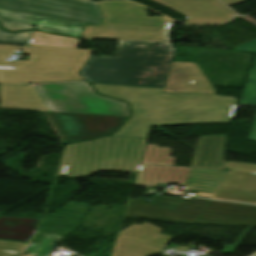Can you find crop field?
Returning <instances> with one entry per match:
<instances>
[{
  "label": "crop field",
  "instance_id": "34b2d1b8",
  "mask_svg": "<svg viewBox=\"0 0 256 256\" xmlns=\"http://www.w3.org/2000/svg\"><path fill=\"white\" fill-rule=\"evenodd\" d=\"M21 50L19 46L0 45V83L27 85L29 82H53L83 79L77 74L91 50L24 45L29 61H6Z\"/></svg>",
  "mask_w": 256,
  "mask_h": 256
},
{
  "label": "crop field",
  "instance_id": "8a807250",
  "mask_svg": "<svg viewBox=\"0 0 256 256\" xmlns=\"http://www.w3.org/2000/svg\"><path fill=\"white\" fill-rule=\"evenodd\" d=\"M104 20L87 26L84 38L118 40L115 58L90 57L80 74L91 83L163 88L175 50L170 21L147 17L131 2H100Z\"/></svg>",
  "mask_w": 256,
  "mask_h": 256
},
{
  "label": "crop field",
  "instance_id": "d1516ede",
  "mask_svg": "<svg viewBox=\"0 0 256 256\" xmlns=\"http://www.w3.org/2000/svg\"><path fill=\"white\" fill-rule=\"evenodd\" d=\"M213 199L256 204V174L229 171Z\"/></svg>",
  "mask_w": 256,
  "mask_h": 256
},
{
  "label": "crop field",
  "instance_id": "214f88e0",
  "mask_svg": "<svg viewBox=\"0 0 256 256\" xmlns=\"http://www.w3.org/2000/svg\"><path fill=\"white\" fill-rule=\"evenodd\" d=\"M159 248L117 238L112 256H150L163 249Z\"/></svg>",
  "mask_w": 256,
  "mask_h": 256
},
{
  "label": "crop field",
  "instance_id": "d8731c3e",
  "mask_svg": "<svg viewBox=\"0 0 256 256\" xmlns=\"http://www.w3.org/2000/svg\"><path fill=\"white\" fill-rule=\"evenodd\" d=\"M63 143L89 140L114 132L126 117L47 112Z\"/></svg>",
  "mask_w": 256,
  "mask_h": 256
},
{
  "label": "crop field",
  "instance_id": "eef30255",
  "mask_svg": "<svg viewBox=\"0 0 256 256\" xmlns=\"http://www.w3.org/2000/svg\"><path fill=\"white\" fill-rule=\"evenodd\" d=\"M222 1H224L228 5H231V4H237V3L244 2L245 0H222Z\"/></svg>",
  "mask_w": 256,
  "mask_h": 256
},
{
  "label": "crop field",
  "instance_id": "4a817a6b",
  "mask_svg": "<svg viewBox=\"0 0 256 256\" xmlns=\"http://www.w3.org/2000/svg\"><path fill=\"white\" fill-rule=\"evenodd\" d=\"M160 231H162L160 228L145 222L139 226L137 224L131 225L122 231L119 236L157 246H164L172 237L158 234Z\"/></svg>",
  "mask_w": 256,
  "mask_h": 256
},
{
  "label": "crop field",
  "instance_id": "733c2abd",
  "mask_svg": "<svg viewBox=\"0 0 256 256\" xmlns=\"http://www.w3.org/2000/svg\"><path fill=\"white\" fill-rule=\"evenodd\" d=\"M1 104H18V109L47 111L34 87L1 85Z\"/></svg>",
  "mask_w": 256,
  "mask_h": 256
},
{
  "label": "crop field",
  "instance_id": "92a150f3",
  "mask_svg": "<svg viewBox=\"0 0 256 256\" xmlns=\"http://www.w3.org/2000/svg\"><path fill=\"white\" fill-rule=\"evenodd\" d=\"M80 39L53 36L33 31L30 45L77 48Z\"/></svg>",
  "mask_w": 256,
  "mask_h": 256
},
{
  "label": "crop field",
  "instance_id": "ac0d7876",
  "mask_svg": "<svg viewBox=\"0 0 256 256\" xmlns=\"http://www.w3.org/2000/svg\"><path fill=\"white\" fill-rule=\"evenodd\" d=\"M98 93L125 100L133 116L112 136L142 137L131 170L137 172L151 126L230 123L236 98L162 93L163 89L93 84Z\"/></svg>",
  "mask_w": 256,
  "mask_h": 256
},
{
  "label": "crop field",
  "instance_id": "d3111659",
  "mask_svg": "<svg viewBox=\"0 0 256 256\" xmlns=\"http://www.w3.org/2000/svg\"><path fill=\"white\" fill-rule=\"evenodd\" d=\"M21 256H31V255H29V254H25V255H21Z\"/></svg>",
  "mask_w": 256,
  "mask_h": 256
},
{
  "label": "crop field",
  "instance_id": "cbeb9de0",
  "mask_svg": "<svg viewBox=\"0 0 256 256\" xmlns=\"http://www.w3.org/2000/svg\"><path fill=\"white\" fill-rule=\"evenodd\" d=\"M0 15L38 26L37 30L55 32L76 37L79 36L83 27V25L77 23L48 19L3 9H0ZM21 16H24V18Z\"/></svg>",
  "mask_w": 256,
  "mask_h": 256
},
{
  "label": "crop field",
  "instance_id": "dafd665d",
  "mask_svg": "<svg viewBox=\"0 0 256 256\" xmlns=\"http://www.w3.org/2000/svg\"><path fill=\"white\" fill-rule=\"evenodd\" d=\"M32 31L7 33L0 29V43L27 44L30 43Z\"/></svg>",
  "mask_w": 256,
  "mask_h": 256
},
{
  "label": "crop field",
  "instance_id": "22f410ed",
  "mask_svg": "<svg viewBox=\"0 0 256 256\" xmlns=\"http://www.w3.org/2000/svg\"><path fill=\"white\" fill-rule=\"evenodd\" d=\"M226 136H200L190 166L224 169Z\"/></svg>",
  "mask_w": 256,
  "mask_h": 256
},
{
  "label": "crop field",
  "instance_id": "e52e79f7",
  "mask_svg": "<svg viewBox=\"0 0 256 256\" xmlns=\"http://www.w3.org/2000/svg\"><path fill=\"white\" fill-rule=\"evenodd\" d=\"M154 196L152 204L146 199ZM146 199L130 200L125 217H139L154 221L195 223L208 200L152 195Z\"/></svg>",
  "mask_w": 256,
  "mask_h": 256
},
{
  "label": "crop field",
  "instance_id": "ae1a2a85",
  "mask_svg": "<svg viewBox=\"0 0 256 256\" xmlns=\"http://www.w3.org/2000/svg\"><path fill=\"white\" fill-rule=\"evenodd\" d=\"M17 105H1L4 108H16Z\"/></svg>",
  "mask_w": 256,
  "mask_h": 256
},
{
  "label": "crop field",
  "instance_id": "3316defc",
  "mask_svg": "<svg viewBox=\"0 0 256 256\" xmlns=\"http://www.w3.org/2000/svg\"><path fill=\"white\" fill-rule=\"evenodd\" d=\"M186 16L188 24L220 23L235 14L216 0H152Z\"/></svg>",
  "mask_w": 256,
  "mask_h": 256
},
{
  "label": "crop field",
  "instance_id": "730fd06b",
  "mask_svg": "<svg viewBox=\"0 0 256 256\" xmlns=\"http://www.w3.org/2000/svg\"><path fill=\"white\" fill-rule=\"evenodd\" d=\"M247 139L256 141V123L253 124L251 132Z\"/></svg>",
  "mask_w": 256,
  "mask_h": 256
},
{
  "label": "crop field",
  "instance_id": "a9b5d70f",
  "mask_svg": "<svg viewBox=\"0 0 256 256\" xmlns=\"http://www.w3.org/2000/svg\"><path fill=\"white\" fill-rule=\"evenodd\" d=\"M0 22L3 27H5L8 30H19V29H31L33 28L32 25H28L25 23H21L15 20H11L8 18H4L0 16Z\"/></svg>",
  "mask_w": 256,
  "mask_h": 256
},
{
  "label": "crop field",
  "instance_id": "28ad6ade",
  "mask_svg": "<svg viewBox=\"0 0 256 256\" xmlns=\"http://www.w3.org/2000/svg\"><path fill=\"white\" fill-rule=\"evenodd\" d=\"M163 92L214 94L215 90L195 63L173 62Z\"/></svg>",
  "mask_w": 256,
  "mask_h": 256
},
{
  "label": "crop field",
  "instance_id": "5a996713",
  "mask_svg": "<svg viewBox=\"0 0 256 256\" xmlns=\"http://www.w3.org/2000/svg\"><path fill=\"white\" fill-rule=\"evenodd\" d=\"M171 148L147 144L135 185L155 187L157 182L183 185L189 168L143 165V163L173 165L175 158L168 157Z\"/></svg>",
  "mask_w": 256,
  "mask_h": 256
},
{
  "label": "crop field",
  "instance_id": "00972430",
  "mask_svg": "<svg viewBox=\"0 0 256 256\" xmlns=\"http://www.w3.org/2000/svg\"><path fill=\"white\" fill-rule=\"evenodd\" d=\"M225 169L256 173V164L225 161Z\"/></svg>",
  "mask_w": 256,
  "mask_h": 256
},
{
  "label": "crop field",
  "instance_id": "dd49c442",
  "mask_svg": "<svg viewBox=\"0 0 256 256\" xmlns=\"http://www.w3.org/2000/svg\"><path fill=\"white\" fill-rule=\"evenodd\" d=\"M97 5L84 0H0L3 9L85 25H99L102 15Z\"/></svg>",
  "mask_w": 256,
  "mask_h": 256
},
{
  "label": "crop field",
  "instance_id": "4177f3b9",
  "mask_svg": "<svg viewBox=\"0 0 256 256\" xmlns=\"http://www.w3.org/2000/svg\"><path fill=\"white\" fill-rule=\"evenodd\" d=\"M251 228L252 227H246V229L243 231V233L240 235V237L235 241V243L232 246L226 245L222 253L234 254L235 250L238 248V246L241 244V242L248 235Z\"/></svg>",
  "mask_w": 256,
  "mask_h": 256
},
{
  "label": "crop field",
  "instance_id": "412701ff",
  "mask_svg": "<svg viewBox=\"0 0 256 256\" xmlns=\"http://www.w3.org/2000/svg\"><path fill=\"white\" fill-rule=\"evenodd\" d=\"M140 139L105 136L66 145L58 175L90 176L98 170L129 171Z\"/></svg>",
  "mask_w": 256,
  "mask_h": 256
},
{
  "label": "crop field",
  "instance_id": "bc2a9ffb",
  "mask_svg": "<svg viewBox=\"0 0 256 256\" xmlns=\"http://www.w3.org/2000/svg\"><path fill=\"white\" fill-rule=\"evenodd\" d=\"M236 50L256 53V40L246 43ZM241 104H256V56L249 70V79L242 91Z\"/></svg>",
  "mask_w": 256,
  "mask_h": 256
},
{
  "label": "crop field",
  "instance_id": "5142ce71",
  "mask_svg": "<svg viewBox=\"0 0 256 256\" xmlns=\"http://www.w3.org/2000/svg\"><path fill=\"white\" fill-rule=\"evenodd\" d=\"M227 171L190 168L184 185L187 191L198 192L197 196L211 199Z\"/></svg>",
  "mask_w": 256,
  "mask_h": 256
},
{
  "label": "crop field",
  "instance_id": "d9b57169",
  "mask_svg": "<svg viewBox=\"0 0 256 256\" xmlns=\"http://www.w3.org/2000/svg\"><path fill=\"white\" fill-rule=\"evenodd\" d=\"M88 203L70 201L62 206L47 234L65 236L73 232L87 211Z\"/></svg>",
  "mask_w": 256,
  "mask_h": 256
},
{
  "label": "crop field",
  "instance_id": "f4fd0767",
  "mask_svg": "<svg viewBox=\"0 0 256 256\" xmlns=\"http://www.w3.org/2000/svg\"><path fill=\"white\" fill-rule=\"evenodd\" d=\"M32 85L48 111L129 116L125 103L94 93L86 81Z\"/></svg>",
  "mask_w": 256,
  "mask_h": 256
}]
</instances>
